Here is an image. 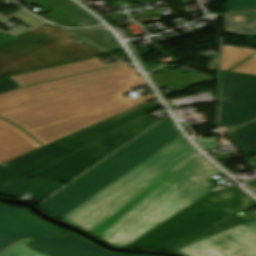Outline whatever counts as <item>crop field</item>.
Wrapping results in <instances>:
<instances>
[{
  "label": "crop field",
  "instance_id": "obj_7",
  "mask_svg": "<svg viewBox=\"0 0 256 256\" xmlns=\"http://www.w3.org/2000/svg\"><path fill=\"white\" fill-rule=\"evenodd\" d=\"M155 122L145 116L32 176L56 183L70 182Z\"/></svg>",
  "mask_w": 256,
  "mask_h": 256
},
{
  "label": "crop field",
  "instance_id": "obj_4",
  "mask_svg": "<svg viewBox=\"0 0 256 256\" xmlns=\"http://www.w3.org/2000/svg\"><path fill=\"white\" fill-rule=\"evenodd\" d=\"M255 206L256 201L237 186L208 194L124 248L176 249L220 232L213 224Z\"/></svg>",
  "mask_w": 256,
  "mask_h": 256
},
{
  "label": "crop field",
  "instance_id": "obj_31",
  "mask_svg": "<svg viewBox=\"0 0 256 256\" xmlns=\"http://www.w3.org/2000/svg\"><path fill=\"white\" fill-rule=\"evenodd\" d=\"M79 1H89V0H79Z\"/></svg>",
  "mask_w": 256,
  "mask_h": 256
},
{
  "label": "crop field",
  "instance_id": "obj_1",
  "mask_svg": "<svg viewBox=\"0 0 256 256\" xmlns=\"http://www.w3.org/2000/svg\"><path fill=\"white\" fill-rule=\"evenodd\" d=\"M144 84L135 69L123 64L0 94V116L45 145L154 99L153 94L133 100L122 95ZM39 147L0 119V164Z\"/></svg>",
  "mask_w": 256,
  "mask_h": 256
},
{
  "label": "crop field",
  "instance_id": "obj_5",
  "mask_svg": "<svg viewBox=\"0 0 256 256\" xmlns=\"http://www.w3.org/2000/svg\"><path fill=\"white\" fill-rule=\"evenodd\" d=\"M45 23L0 47V77L82 61L104 53ZM80 41V40H79Z\"/></svg>",
  "mask_w": 256,
  "mask_h": 256
},
{
  "label": "crop field",
  "instance_id": "obj_16",
  "mask_svg": "<svg viewBox=\"0 0 256 256\" xmlns=\"http://www.w3.org/2000/svg\"><path fill=\"white\" fill-rule=\"evenodd\" d=\"M172 172H168L157 182L151 185L148 189L138 195L135 199L129 202L126 206L116 212L113 216L103 222L100 226L94 229L89 234L99 238L110 226H112L117 220H119L123 215H125L130 209H132L136 204H138L142 199H144L150 192H152L159 184H161L167 177H169ZM168 179V178H167Z\"/></svg>",
  "mask_w": 256,
  "mask_h": 256
},
{
  "label": "crop field",
  "instance_id": "obj_3",
  "mask_svg": "<svg viewBox=\"0 0 256 256\" xmlns=\"http://www.w3.org/2000/svg\"><path fill=\"white\" fill-rule=\"evenodd\" d=\"M180 132L168 118L140 135L134 141L108 157L98 166L80 176L60 192L38 205V208L62 218L82 202L124 175L140 162L176 139Z\"/></svg>",
  "mask_w": 256,
  "mask_h": 256
},
{
  "label": "crop field",
  "instance_id": "obj_23",
  "mask_svg": "<svg viewBox=\"0 0 256 256\" xmlns=\"http://www.w3.org/2000/svg\"><path fill=\"white\" fill-rule=\"evenodd\" d=\"M226 11L256 9V0H227Z\"/></svg>",
  "mask_w": 256,
  "mask_h": 256
},
{
  "label": "crop field",
  "instance_id": "obj_29",
  "mask_svg": "<svg viewBox=\"0 0 256 256\" xmlns=\"http://www.w3.org/2000/svg\"><path fill=\"white\" fill-rule=\"evenodd\" d=\"M213 158L216 159L217 161L233 159V158H227V157H213Z\"/></svg>",
  "mask_w": 256,
  "mask_h": 256
},
{
  "label": "crop field",
  "instance_id": "obj_17",
  "mask_svg": "<svg viewBox=\"0 0 256 256\" xmlns=\"http://www.w3.org/2000/svg\"><path fill=\"white\" fill-rule=\"evenodd\" d=\"M245 154L256 155V121L228 133Z\"/></svg>",
  "mask_w": 256,
  "mask_h": 256
},
{
  "label": "crop field",
  "instance_id": "obj_21",
  "mask_svg": "<svg viewBox=\"0 0 256 256\" xmlns=\"http://www.w3.org/2000/svg\"><path fill=\"white\" fill-rule=\"evenodd\" d=\"M30 241L31 240L23 241L15 246H13L12 248L7 250L0 256H48V254L38 253L34 250L29 249L26 246V244H28Z\"/></svg>",
  "mask_w": 256,
  "mask_h": 256
},
{
  "label": "crop field",
  "instance_id": "obj_30",
  "mask_svg": "<svg viewBox=\"0 0 256 256\" xmlns=\"http://www.w3.org/2000/svg\"><path fill=\"white\" fill-rule=\"evenodd\" d=\"M249 162H256V157L249 159Z\"/></svg>",
  "mask_w": 256,
  "mask_h": 256
},
{
  "label": "crop field",
  "instance_id": "obj_9",
  "mask_svg": "<svg viewBox=\"0 0 256 256\" xmlns=\"http://www.w3.org/2000/svg\"><path fill=\"white\" fill-rule=\"evenodd\" d=\"M172 253L185 256H256V222L234 227Z\"/></svg>",
  "mask_w": 256,
  "mask_h": 256
},
{
  "label": "crop field",
  "instance_id": "obj_13",
  "mask_svg": "<svg viewBox=\"0 0 256 256\" xmlns=\"http://www.w3.org/2000/svg\"><path fill=\"white\" fill-rule=\"evenodd\" d=\"M63 184H55L39 179L21 178L11 186L0 192L1 196L17 198L23 193L27 192L34 195L35 199H45L61 188Z\"/></svg>",
  "mask_w": 256,
  "mask_h": 256
},
{
  "label": "crop field",
  "instance_id": "obj_28",
  "mask_svg": "<svg viewBox=\"0 0 256 256\" xmlns=\"http://www.w3.org/2000/svg\"><path fill=\"white\" fill-rule=\"evenodd\" d=\"M248 186H250L254 191H256V180L247 183Z\"/></svg>",
  "mask_w": 256,
  "mask_h": 256
},
{
  "label": "crop field",
  "instance_id": "obj_14",
  "mask_svg": "<svg viewBox=\"0 0 256 256\" xmlns=\"http://www.w3.org/2000/svg\"><path fill=\"white\" fill-rule=\"evenodd\" d=\"M41 17L52 23L66 27L92 26L100 23L73 3Z\"/></svg>",
  "mask_w": 256,
  "mask_h": 256
},
{
  "label": "crop field",
  "instance_id": "obj_27",
  "mask_svg": "<svg viewBox=\"0 0 256 256\" xmlns=\"http://www.w3.org/2000/svg\"><path fill=\"white\" fill-rule=\"evenodd\" d=\"M14 39L13 37H6V36H3L1 33H0V45L10 41Z\"/></svg>",
  "mask_w": 256,
  "mask_h": 256
},
{
  "label": "crop field",
  "instance_id": "obj_15",
  "mask_svg": "<svg viewBox=\"0 0 256 256\" xmlns=\"http://www.w3.org/2000/svg\"><path fill=\"white\" fill-rule=\"evenodd\" d=\"M225 29L232 34L256 35V10L226 12Z\"/></svg>",
  "mask_w": 256,
  "mask_h": 256
},
{
  "label": "crop field",
  "instance_id": "obj_2",
  "mask_svg": "<svg viewBox=\"0 0 256 256\" xmlns=\"http://www.w3.org/2000/svg\"><path fill=\"white\" fill-rule=\"evenodd\" d=\"M186 142L180 136L61 220L89 233L172 169L168 179L99 238L110 244L132 227L112 244L122 248L206 194L224 189L196 182L221 173Z\"/></svg>",
  "mask_w": 256,
  "mask_h": 256
},
{
  "label": "crop field",
  "instance_id": "obj_6",
  "mask_svg": "<svg viewBox=\"0 0 256 256\" xmlns=\"http://www.w3.org/2000/svg\"><path fill=\"white\" fill-rule=\"evenodd\" d=\"M159 107L161 106L157 101H152L98 125L10 160L4 163L9 164L6 167H3V164L0 165V191L21 177L37 172Z\"/></svg>",
  "mask_w": 256,
  "mask_h": 256
},
{
  "label": "crop field",
  "instance_id": "obj_25",
  "mask_svg": "<svg viewBox=\"0 0 256 256\" xmlns=\"http://www.w3.org/2000/svg\"><path fill=\"white\" fill-rule=\"evenodd\" d=\"M195 139L205 149V151L216 150L217 137L209 138V139H205V140H203L201 137H197Z\"/></svg>",
  "mask_w": 256,
  "mask_h": 256
},
{
  "label": "crop field",
  "instance_id": "obj_11",
  "mask_svg": "<svg viewBox=\"0 0 256 256\" xmlns=\"http://www.w3.org/2000/svg\"><path fill=\"white\" fill-rule=\"evenodd\" d=\"M29 246L37 251L48 252L51 256H146L111 253L76 234L59 239L41 237Z\"/></svg>",
  "mask_w": 256,
  "mask_h": 256
},
{
  "label": "crop field",
  "instance_id": "obj_26",
  "mask_svg": "<svg viewBox=\"0 0 256 256\" xmlns=\"http://www.w3.org/2000/svg\"><path fill=\"white\" fill-rule=\"evenodd\" d=\"M19 88L11 79H2L0 80V93Z\"/></svg>",
  "mask_w": 256,
  "mask_h": 256
},
{
  "label": "crop field",
  "instance_id": "obj_10",
  "mask_svg": "<svg viewBox=\"0 0 256 256\" xmlns=\"http://www.w3.org/2000/svg\"><path fill=\"white\" fill-rule=\"evenodd\" d=\"M56 237L55 227L48 225L22 209L0 204V252L20 239L40 236Z\"/></svg>",
  "mask_w": 256,
  "mask_h": 256
},
{
  "label": "crop field",
  "instance_id": "obj_18",
  "mask_svg": "<svg viewBox=\"0 0 256 256\" xmlns=\"http://www.w3.org/2000/svg\"><path fill=\"white\" fill-rule=\"evenodd\" d=\"M68 31L78 35L79 37L91 42L92 44L108 52H115L117 50H120V47L111 36V34L108 32L91 31L88 29Z\"/></svg>",
  "mask_w": 256,
  "mask_h": 256
},
{
  "label": "crop field",
  "instance_id": "obj_24",
  "mask_svg": "<svg viewBox=\"0 0 256 256\" xmlns=\"http://www.w3.org/2000/svg\"><path fill=\"white\" fill-rule=\"evenodd\" d=\"M231 71L256 75V56L250 58L249 60L245 61Z\"/></svg>",
  "mask_w": 256,
  "mask_h": 256
},
{
  "label": "crop field",
  "instance_id": "obj_8",
  "mask_svg": "<svg viewBox=\"0 0 256 256\" xmlns=\"http://www.w3.org/2000/svg\"><path fill=\"white\" fill-rule=\"evenodd\" d=\"M219 123L231 129L256 118V76L226 73Z\"/></svg>",
  "mask_w": 256,
  "mask_h": 256
},
{
  "label": "crop field",
  "instance_id": "obj_22",
  "mask_svg": "<svg viewBox=\"0 0 256 256\" xmlns=\"http://www.w3.org/2000/svg\"><path fill=\"white\" fill-rule=\"evenodd\" d=\"M255 220H256V215L249 213V214L229 218L217 225L219 227H221L222 229L226 230V229L232 228L234 226H237V225H240L243 223H247V222H251V221H255Z\"/></svg>",
  "mask_w": 256,
  "mask_h": 256
},
{
  "label": "crop field",
  "instance_id": "obj_19",
  "mask_svg": "<svg viewBox=\"0 0 256 256\" xmlns=\"http://www.w3.org/2000/svg\"><path fill=\"white\" fill-rule=\"evenodd\" d=\"M255 53L256 50L253 49L223 46L221 49L220 71L231 69Z\"/></svg>",
  "mask_w": 256,
  "mask_h": 256
},
{
  "label": "crop field",
  "instance_id": "obj_20",
  "mask_svg": "<svg viewBox=\"0 0 256 256\" xmlns=\"http://www.w3.org/2000/svg\"><path fill=\"white\" fill-rule=\"evenodd\" d=\"M12 18H15V19L21 21V24H23L25 26H28L30 28L44 22V21H42V20H40V19H38V18H36V17H34V16L30 15L29 13L22 10L19 13L15 14L11 17H8V18H4V17L0 16V24L3 25L5 23L9 22ZM27 30H29V29L19 25V26L15 27V28L7 31V32H4L2 30H0V32L5 34V35L15 37V36L25 32Z\"/></svg>",
  "mask_w": 256,
  "mask_h": 256
},
{
  "label": "crop field",
  "instance_id": "obj_12",
  "mask_svg": "<svg viewBox=\"0 0 256 256\" xmlns=\"http://www.w3.org/2000/svg\"><path fill=\"white\" fill-rule=\"evenodd\" d=\"M123 64L119 61L106 65L101 63L97 58L48 68L44 70L34 71L30 73L20 74L10 77L20 87L52 81L84 72L99 70L115 65Z\"/></svg>",
  "mask_w": 256,
  "mask_h": 256
}]
</instances>
